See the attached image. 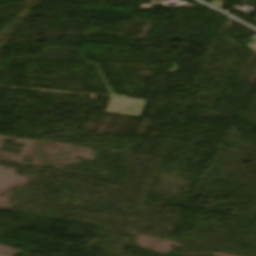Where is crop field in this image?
<instances>
[{"mask_svg": "<svg viewBox=\"0 0 256 256\" xmlns=\"http://www.w3.org/2000/svg\"><path fill=\"white\" fill-rule=\"evenodd\" d=\"M145 101L112 97L105 113L139 116Z\"/></svg>", "mask_w": 256, "mask_h": 256, "instance_id": "8a807250", "label": "crop field"}, {"mask_svg": "<svg viewBox=\"0 0 256 256\" xmlns=\"http://www.w3.org/2000/svg\"><path fill=\"white\" fill-rule=\"evenodd\" d=\"M21 250L5 247L0 245V256H13Z\"/></svg>", "mask_w": 256, "mask_h": 256, "instance_id": "ac0d7876", "label": "crop field"}]
</instances>
